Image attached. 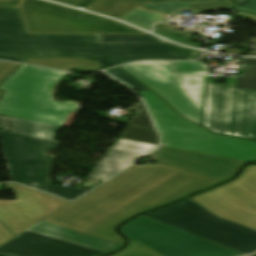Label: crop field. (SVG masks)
I'll use <instances>...</instances> for the list:
<instances>
[{
	"label": "crop field",
	"mask_w": 256,
	"mask_h": 256,
	"mask_svg": "<svg viewBox=\"0 0 256 256\" xmlns=\"http://www.w3.org/2000/svg\"><path fill=\"white\" fill-rule=\"evenodd\" d=\"M215 183L159 164L134 165L42 221L123 244L113 231L122 220Z\"/></svg>",
	"instance_id": "obj_1"
},
{
	"label": "crop field",
	"mask_w": 256,
	"mask_h": 256,
	"mask_svg": "<svg viewBox=\"0 0 256 256\" xmlns=\"http://www.w3.org/2000/svg\"><path fill=\"white\" fill-rule=\"evenodd\" d=\"M0 53L78 56L109 64L192 60L195 50L172 43H98L97 35L28 34L19 7H0Z\"/></svg>",
	"instance_id": "obj_2"
},
{
	"label": "crop field",
	"mask_w": 256,
	"mask_h": 256,
	"mask_svg": "<svg viewBox=\"0 0 256 256\" xmlns=\"http://www.w3.org/2000/svg\"><path fill=\"white\" fill-rule=\"evenodd\" d=\"M65 72L22 65L1 86L0 114L63 126L75 102L52 101L53 88Z\"/></svg>",
	"instance_id": "obj_3"
},
{
	"label": "crop field",
	"mask_w": 256,
	"mask_h": 256,
	"mask_svg": "<svg viewBox=\"0 0 256 256\" xmlns=\"http://www.w3.org/2000/svg\"><path fill=\"white\" fill-rule=\"evenodd\" d=\"M139 95L145 99L161 134L162 146L246 162L256 160V142L214 135L174 113L150 91Z\"/></svg>",
	"instance_id": "obj_4"
},
{
	"label": "crop field",
	"mask_w": 256,
	"mask_h": 256,
	"mask_svg": "<svg viewBox=\"0 0 256 256\" xmlns=\"http://www.w3.org/2000/svg\"><path fill=\"white\" fill-rule=\"evenodd\" d=\"M141 216L244 254L256 251V231L223 220L189 199Z\"/></svg>",
	"instance_id": "obj_5"
},
{
	"label": "crop field",
	"mask_w": 256,
	"mask_h": 256,
	"mask_svg": "<svg viewBox=\"0 0 256 256\" xmlns=\"http://www.w3.org/2000/svg\"><path fill=\"white\" fill-rule=\"evenodd\" d=\"M201 126L256 140V91L236 89V78L226 85L205 84Z\"/></svg>",
	"instance_id": "obj_6"
},
{
	"label": "crop field",
	"mask_w": 256,
	"mask_h": 256,
	"mask_svg": "<svg viewBox=\"0 0 256 256\" xmlns=\"http://www.w3.org/2000/svg\"><path fill=\"white\" fill-rule=\"evenodd\" d=\"M181 116L200 125L203 86L209 72L173 73L169 62H139L121 66Z\"/></svg>",
	"instance_id": "obj_7"
},
{
	"label": "crop field",
	"mask_w": 256,
	"mask_h": 256,
	"mask_svg": "<svg viewBox=\"0 0 256 256\" xmlns=\"http://www.w3.org/2000/svg\"><path fill=\"white\" fill-rule=\"evenodd\" d=\"M0 138L12 181L66 200H75L87 192L71 187L52 186L48 181L54 156L44 154L49 150L57 149V142L13 135L2 131H0ZM32 182H37L35 187L31 186Z\"/></svg>",
	"instance_id": "obj_8"
},
{
	"label": "crop field",
	"mask_w": 256,
	"mask_h": 256,
	"mask_svg": "<svg viewBox=\"0 0 256 256\" xmlns=\"http://www.w3.org/2000/svg\"><path fill=\"white\" fill-rule=\"evenodd\" d=\"M20 9L29 33L149 35L117 21L42 0H23Z\"/></svg>",
	"instance_id": "obj_9"
},
{
	"label": "crop field",
	"mask_w": 256,
	"mask_h": 256,
	"mask_svg": "<svg viewBox=\"0 0 256 256\" xmlns=\"http://www.w3.org/2000/svg\"><path fill=\"white\" fill-rule=\"evenodd\" d=\"M120 230L129 240H138L161 256L244 255L140 216L123 224Z\"/></svg>",
	"instance_id": "obj_10"
},
{
	"label": "crop field",
	"mask_w": 256,
	"mask_h": 256,
	"mask_svg": "<svg viewBox=\"0 0 256 256\" xmlns=\"http://www.w3.org/2000/svg\"><path fill=\"white\" fill-rule=\"evenodd\" d=\"M215 215L256 230V165L224 186L190 198Z\"/></svg>",
	"instance_id": "obj_11"
},
{
	"label": "crop field",
	"mask_w": 256,
	"mask_h": 256,
	"mask_svg": "<svg viewBox=\"0 0 256 256\" xmlns=\"http://www.w3.org/2000/svg\"><path fill=\"white\" fill-rule=\"evenodd\" d=\"M6 185L16 200L0 201V223L15 236L69 203L18 184Z\"/></svg>",
	"instance_id": "obj_12"
},
{
	"label": "crop field",
	"mask_w": 256,
	"mask_h": 256,
	"mask_svg": "<svg viewBox=\"0 0 256 256\" xmlns=\"http://www.w3.org/2000/svg\"><path fill=\"white\" fill-rule=\"evenodd\" d=\"M148 157L183 170L220 181L232 176L244 162L222 159L196 152L160 147Z\"/></svg>",
	"instance_id": "obj_13"
},
{
	"label": "crop field",
	"mask_w": 256,
	"mask_h": 256,
	"mask_svg": "<svg viewBox=\"0 0 256 256\" xmlns=\"http://www.w3.org/2000/svg\"><path fill=\"white\" fill-rule=\"evenodd\" d=\"M0 254L8 256H92L107 253L26 230L1 246Z\"/></svg>",
	"instance_id": "obj_14"
},
{
	"label": "crop field",
	"mask_w": 256,
	"mask_h": 256,
	"mask_svg": "<svg viewBox=\"0 0 256 256\" xmlns=\"http://www.w3.org/2000/svg\"><path fill=\"white\" fill-rule=\"evenodd\" d=\"M232 2L229 0H211L205 2H188V1H177L169 0L163 1L161 3L145 2L140 5L135 10L125 14L119 19L126 21L130 24L136 25L138 27L150 30L153 17H159L168 14V8H223L231 9ZM237 12V11H236ZM240 15L253 16L251 14H246L238 12ZM256 17V16H254Z\"/></svg>",
	"instance_id": "obj_15"
},
{
	"label": "crop field",
	"mask_w": 256,
	"mask_h": 256,
	"mask_svg": "<svg viewBox=\"0 0 256 256\" xmlns=\"http://www.w3.org/2000/svg\"><path fill=\"white\" fill-rule=\"evenodd\" d=\"M158 146L120 139L89 177L108 179Z\"/></svg>",
	"instance_id": "obj_16"
},
{
	"label": "crop field",
	"mask_w": 256,
	"mask_h": 256,
	"mask_svg": "<svg viewBox=\"0 0 256 256\" xmlns=\"http://www.w3.org/2000/svg\"><path fill=\"white\" fill-rule=\"evenodd\" d=\"M27 230L107 253L115 251L122 246L121 244H117L111 241L93 237L87 234L76 232L42 221L38 222Z\"/></svg>",
	"instance_id": "obj_17"
},
{
	"label": "crop field",
	"mask_w": 256,
	"mask_h": 256,
	"mask_svg": "<svg viewBox=\"0 0 256 256\" xmlns=\"http://www.w3.org/2000/svg\"><path fill=\"white\" fill-rule=\"evenodd\" d=\"M11 133L55 141L56 133L63 127L51 126L34 121L10 118Z\"/></svg>",
	"instance_id": "obj_18"
},
{
	"label": "crop field",
	"mask_w": 256,
	"mask_h": 256,
	"mask_svg": "<svg viewBox=\"0 0 256 256\" xmlns=\"http://www.w3.org/2000/svg\"><path fill=\"white\" fill-rule=\"evenodd\" d=\"M25 63L68 71L69 68L83 71H100L101 63L81 58H29Z\"/></svg>",
	"instance_id": "obj_19"
},
{
	"label": "crop field",
	"mask_w": 256,
	"mask_h": 256,
	"mask_svg": "<svg viewBox=\"0 0 256 256\" xmlns=\"http://www.w3.org/2000/svg\"><path fill=\"white\" fill-rule=\"evenodd\" d=\"M256 59L242 58L241 66L246 67L245 73L239 76L238 88L256 90Z\"/></svg>",
	"instance_id": "obj_20"
},
{
	"label": "crop field",
	"mask_w": 256,
	"mask_h": 256,
	"mask_svg": "<svg viewBox=\"0 0 256 256\" xmlns=\"http://www.w3.org/2000/svg\"><path fill=\"white\" fill-rule=\"evenodd\" d=\"M122 138L158 145V136L156 133L130 126L126 128Z\"/></svg>",
	"instance_id": "obj_21"
},
{
	"label": "crop field",
	"mask_w": 256,
	"mask_h": 256,
	"mask_svg": "<svg viewBox=\"0 0 256 256\" xmlns=\"http://www.w3.org/2000/svg\"><path fill=\"white\" fill-rule=\"evenodd\" d=\"M99 42H168L154 36L98 35Z\"/></svg>",
	"instance_id": "obj_22"
},
{
	"label": "crop field",
	"mask_w": 256,
	"mask_h": 256,
	"mask_svg": "<svg viewBox=\"0 0 256 256\" xmlns=\"http://www.w3.org/2000/svg\"><path fill=\"white\" fill-rule=\"evenodd\" d=\"M113 256H160L137 241H130L128 247Z\"/></svg>",
	"instance_id": "obj_23"
},
{
	"label": "crop field",
	"mask_w": 256,
	"mask_h": 256,
	"mask_svg": "<svg viewBox=\"0 0 256 256\" xmlns=\"http://www.w3.org/2000/svg\"><path fill=\"white\" fill-rule=\"evenodd\" d=\"M105 72L114 79L124 83L125 85L129 86L130 88L136 91L148 90L118 67L110 69Z\"/></svg>",
	"instance_id": "obj_24"
},
{
	"label": "crop field",
	"mask_w": 256,
	"mask_h": 256,
	"mask_svg": "<svg viewBox=\"0 0 256 256\" xmlns=\"http://www.w3.org/2000/svg\"><path fill=\"white\" fill-rule=\"evenodd\" d=\"M130 110L137 111V118H132L129 123L130 125L154 130L142 101Z\"/></svg>",
	"instance_id": "obj_25"
},
{
	"label": "crop field",
	"mask_w": 256,
	"mask_h": 256,
	"mask_svg": "<svg viewBox=\"0 0 256 256\" xmlns=\"http://www.w3.org/2000/svg\"><path fill=\"white\" fill-rule=\"evenodd\" d=\"M174 72L210 71L203 62H170Z\"/></svg>",
	"instance_id": "obj_26"
},
{
	"label": "crop field",
	"mask_w": 256,
	"mask_h": 256,
	"mask_svg": "<svg viewBox=\"0 0 256 256\" xmlns=\"http://www.w3.org/2000/svg\"><path fill=\"white\" fill-rule=\"evenodd\" d=\"M21 65L0 61V85L13 74ZM2 91H0V95Z\"/></svg>",
	"instance_id": "obj_27"
},
{
	"label": "crop field",
	"mask_w": 256,
	"mask_h": 256,
	"mask_svg": "<svg viewBox=\"0 0 256 256\" xmlns=\"http://www.w3.org/2000/svg\"><path fill=\"white\" fill-rule=\"evenodd\" d=\"M237 10H241L244 12H248V13H255L256 14V0H251L241 6H239L238 8H236Z\"/></svg>",
	"instance_id": "obj_28"
},
{
	"label": "crop field",
	"mask_w": 256,
	"mask_h": 256,
	"mask_svg": "<svg viewBox=\"0 0 256 256\" xmlns=\"http://www.w3.org/2000/svg\"><path fill=\"white\" fill-rule=\"evenodd\" d=\"M4 228L0 225V246L14 238L7 230H5L6 228Z\"/></svg>",
	"instance_id": "obj_29"
},
{
	"label": "crop field",
	"mask_w": 256,
	"mask_h": 256,
	"mask_svg": "<svg viewBox=\"0 0 256 256\" xmlns=\"http://www.w3.org/2000/svg\"><path fill=\"white\" fill-rule=\"evenodd\" d=\"M0 130L10 132L9 118L0 116Z\"/></svg>",
	"instance_id": "obj_30"
},
{
	"label": "crop field",
	"mask_w": 256,
	"mask_h": 256,
	"mask_svg": "<svg viewBox=\"0 0 256 256\" xmlns=\"http://www.w3.org/2000/svg\"><path fill=\"white\" fill-rule=\"evenodd\" d=\"M27 59V57L0 55V60L18 61L24 63Z\"/></svg>",
	"instance_id": "obj_31"
},
{
	"label": "crop field",
	"mask_w": 256,
	"mask_h": 256,
	"mask_svg": "<svg viewBox=\"0 0 256 256\" xmlns=\"http://www.w3.org/2000/svg\"><path fill=\"white\" fill-rule=\"evenodd\" d=\"M20 0H0V6H18Z\"/></svg>",
	"instance_id": "obj_32"
},
{
	"label": "crop field",
	"mask_w": 256,
	"mask_h": 256,
	"mask_svg": "<svg viewBox=\"0 0 256 256\" xmlns=\"http://www.w3.org/2000/svg\"><path fill=\"white\" fill-rule=\"evenodd\" d=\"M234 1H236V4L233 6V8H235V7H237V5L244 3L246 1H249V0H234Z\"/></svg>",
	"instance_id": "obj_33"
},
{
	"label": "crop field",
	"mask_w": 256,
	"mask_h": 256,
	"mask_svg": "<svg viewBox=\"0 0 256 256\" xmlns=\"http://www.w3.org/2000/svg\"><path fill=\"white\" fill-rule=\"evenodd\" d=\"M166 16L172 17V15H165V16H162V17H159V18L154 19L153 23L159 21L160 19H162V18H164V17H166Z\"/></svg>",
	"instance_id": "obj_34"
}]
</instances>
